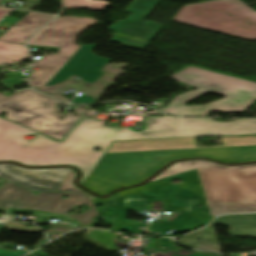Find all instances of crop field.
Segmentation results:
<instances>
[{"instance_id":"crop-field-12","label":"crop field","mask_w":256,"mask_h":256,"mask_svg":"<svg viewBox=\"0 0 256 256\" xmlns=\"http://www.w3.org/2000/svg\"><path fill=\"white\" fill-rule=\"evenodd\" d=\"M70 171L68 168L31 170L4 164L0 165V178L35 191H56Z\"/></svg>"},{"instance_id":"crop-field-9","label":"crop field","mask_w":256,"mask_h":256,"mask_svg":"<svg viewBox=\"0 0 256 256\" xmlns=\"http://www.w3.org/2000/svg\"><path fill=\"white\" fill-rule=\"evenodd\" d=\"M36 133L0 118V161L12 160L24 165H43L61 142H53L43 135H37L31 141L23 138Z\"/></svg>"},{"instance_id":"crop-field-27","label":"crop field","mask_w":256,"mask_h":256,"mask_svg":"<svg viewBox=\"0 0 256 256\" xmlns=\"http://www.w3.org/2000/svg\"><path fill=\"white\" fill-rule=\"evenodd\" d=\"M32 49H52V50H56L58 51L60 48H48V47H35V46H31Z\"/></svg>"},{"instance_id":"crop-field-28","label":"crop field","mask_w":256,"mask_h":256,"mask_svg":"<svg viewBox=\"0 0 256 256\" xmlns=\"http://www.w3.org/2000/svg\"><path fill=\"white\" fill-rule=\"evenodd\" d=\"M53 97H55V98H57V99H60V100H62V101H64V102H69L70 100H68V99H66V98H64V97H62V96H60V95H52Z\"/></svg>"},{"instance_id":"crop-field-26","label":"crop field","mask_w":256,"mask_h":256,"mask_svg":"<svg viewBox=\"0 0 256 256\" xmlns=\"http://www.w3.org/2000/svg\"><path fill=\"white\" fill-rule=\"evenodd\" d=\"M10 11L9 9L0 8V19Z\"/></svg>"},{"instance_id":"crop-field-25","label":"crop field","mask_w":256,"mask_h":256,"mask_svg":"<svg viewBox=\"0 0 256 256\" xmlns=\"http://www.w3.org/2000/svg\"><path fill=\"white\" fill-rule=\"evenodd\" d=\"M24 253H27V251L9 252V251L0 249V256H20Z\"/></svg>"},{"instance_id":"crop-field-24","label":"crop field","mask_w":256,"mask_h":256,"mask_svg":"<svg viewBox=\"0 0 256 256\" xmlns=\"http://www.w3.org/2000/svg\"><path fill=\"white\" fill-rule=\"evenodd\" d=\"M95 99L91 96H81V97H75L71 103H95Z\"/></svg>"},{"instance_id":"crop-field-1","label":"crop field","mask_w":256,"mask_h":256,"mask_svg":"<svg viewBox=\"0 0 256 256\" xmlns=\"http://www.w3.org/2000/svg\"><path fill=\"white\" fill-rule=\"evenodd\" d=\"M221 138L223 146L215 147H196V138L113 142L83 186L104 195L143 181L175 159L210 157L226 163L256 160V136Z\"/></svg>"},{"instance_id":"crop-field-23","label":"crop field","mask_w":256,"mask_h":256,"mask_svg":"<svg viewBox=\"0 0 256 256\" xmlns=\"http://www.w3.org/2000/svg\"><path fill=\"white\" fill-rule=\"evenodd\" d=\"M5 228L18 231L40 232L38 228L24 227L21 223H9Z\"/></svg>"},{"instance_id":"crop-field-3","label":"crop field","mask_w":256,"mask_h":256,"mask_svg":"<svg viewBox=\"0 0 256 256\" xmlns=\"http://www.w3.org/2000/svg\"><path fill=\"white\" fill-rule=\"evenodd\" d=\"M170 78L197 87L198 90L177 95L165 108L160 109L168 113L183 116H207L210 110L242 113L256 101V83L253 82L195 67H189ZM210 91L226 97L205 106L184 105Z\"/></svg>"},{"instance_id":"crop-field-6","label":"crop field","mask_w":256,"mask_h":256,"mask_svg":"<svg viewBox=\"0 0 256 256\" xmlns=\"http://www.w3.org/2000/svg\"><path fill=\"white\" fill-rule=\"evenodd\" d=\"M75 175L76 173L74 172V170H72L57 191L68 192L69 190H72L71 192L84 194L91 199L93 196L76 188L72 184ZM176 179L181 180V183L172 184L171 181ZM150 184L183 185L182 187H180L169 206L183 207L186 199L204 200L205 198L196 170L174 177L158 180ZM141 198L142 196L127 195L122 207L145 210L149 203V200H141ZM113 200L114 199L102 200V204L110 205L113 203ZM197 203L198 201H188L185 209H192V206L197 205ZM163 205L164 203H156L155 210H162ZM212 218L213 216L198 212H195L193 216L178 213L174 214L169 221H164L161 226L178 229L181 230L180 232H187L209 223Z\"/></svg>"},{"instance_id":"crop-field-13","label":"crop field","mask_w":256,"mask_h":256,"mask_svg":"<svg viewBox=\"0 0 256 256\" xmlns=\"http://www.w3.org/2000/svg\"><path fill=\"white\" fill-rule=\"evenodd\" d=\"M96 46L82 45L45 86H53L55 83H60L70 75L79 76L83 81L94 82L103 74L99 69L109 61L91 53V50Z\"/></svg>"},{"instance_id":"crop-field-5","label":"crop field","mask_w":256,"mask_h":256,"mask_svg":"<svg viewBox=\"0 0 256 256\" xmlns=\"http://www.w3.org/2000/svg\"><path fill=\"white\" fill-rule=\"evenodd\" d=\"M173 21L256 40V12L240 0H215L186 5Z\"/></svg>"},{"instance_id":"crop-field-10","label":"crop field","mask_w":256,"mask_h":256,"mask_svg":"<svg viewBox=\"0 0 256 256\" xmlns=\"http://www.w3.org/2000/svg\"><path fill=\"white\" fill-rule=\"evenodd\" d=\"M160 1L134 0L126 9L132 15L123 21H117L109 30L115 32L112 42L122 43V46L144 49L149 42L164 27L145 19ZM146 21L145 24L141 23Z\"/></svg>"},{"instance_id":"crop-field-7","label":"crop field","mask_w":256,"mask_h":256,"mask_svg":"<svg viewBox=\"0 0 256 256\" xmlns=\"http://www.w3.org/2000/svg\"><path fill=\"white\" fill-rule=\"evenodd\" d=\"M106 121L84 117L44 165H74L83 171L82 184L120 128L104 127ZM95 148L101 150L96 152Z\"/></svg>"},{"instance_id":"crop-field-11","label":"crop field","mask_w":256,"mask_h":256,"mask_svg":"<svg viewBox=\"0 0 256 256\" xmlns=\"http://www.w3.org/2000/svg\"><path fill=\"white\" fill-rule=\"evenodd\" d=\"M95 22L92 18H57L41 29L28 45L62 47L60 54L71 57L80 47L74 43L77 35Z\"/></svg>"},{"instance_id":"crop-field-30","label":"crop field","mask_w":256,"mask_h":256,"mask_svg":"<svg viewBox=\"0 0 256 256\" xmlns=\"http://www.w3.org/2000/svg\"><path fill=\"white\" fill-rule=\"evenodd\" d=\"M93 114H94V112H89V113L86 114V115H91V116H93Z\"/></svg>"},{"instance_id":"crop-field-19","label":"crop field","mask_w":256,"mask_h":256,"mask_svg":"<svg viewBox=\"0 0 256 256\" xmlns=\"http://www.w3.org/2000/svg\"><path fill=\"white\" fill-rule=\"evenodd\" d=\"M28 58V50L24 45L9 44L0 41V63L19 64Z\"/></svg>"},{"instance_id":"crop-field-15","label":"crop field","mask_w":256,"mask_h":256,"mask_svg":"<svg viewBox=\"0 0 256 256\" xmlns=\"http://www.w3.org/2000/svg\"><path fill=\"white\" fill-rule=\"evenodd\" d=\"M186 118L147 117L146 129L134 132L121 128L113 140L152 139L182 137Z\"/></svg>"},{"instance_id":"crop-field-31","label":"crop field","mask_w":256,"mask_h":256,"mask_svg":"<svg viewBox=\"0 0 256 256\" xmlns=\"http://www.w3.org/2000/svg\"><path fill=\"white\" fill-rule=\"evenodd\" d=\"M117 236H115L114 238H116Z\"/></svg>"},{"instance_id":"crop-field-4","label":"crop field","mask_w":256,"mask_h":256,"mask_svg":"<svg viewBox=\"0 0 256 256\" xmlns=\"http://www.w3.org/2000/svg\"><path fill=\"white\" fill-rule=\"evenodd\" d=\"M58 104L61 102L32 89L18 91L9 97L0 94V113L7 112L6 119L61 140L88 110L76 107L74 113L80 114L79 117L65 113L66 117L59 121L65 115L57 117L61 112L56 107Z\"/></svg>"},{"instance_id":"crop-field-16","label":"crop field","mask_w":256,"mask_h":256,"mask_svg":"<svg viewBox=\"0 0 256 256\" xmlns=\"http://www.w3.org/2000/svg\"><path fill=\"white\" fill-rule=\"evenodd\" d=\"M53 17L30 12L17 24L6 31L0 40L10 43L24 44L32 34L45 23L49 22Z\"/></svg>"},{"instance_id":"crop-field-21","label":"crop field","mask_w":256,"mask_h":256,"mask_svg":"<svg viewBox=\"0 0 256 256\" xmlns=\"http://www.w3.org/2000/svg\"><path fill=\"white\" fill-rule=\"evenodd\" d=\"M88 237H90L104 245H107L108 249H116L109 232L100 231V230H92V232L90 233V235Z\"/></svg>"},{"instance_id":"crop-field-22","label":"crop field","mask_w":256,"mask_h":256,"mask_svg":"<svg viewBox=\"0 0 256 256\" xmlns=\"http://www.w3.org/2000/svg\"><path fill=\"white\" fill-rule=\"evenodd\" d=\"M8 78L1 81L3 85L7 86L9 89L12 88L14 85H18L20 83L26 82L22 81V78H25L26 76H23L19 73H12V74H7Z\"/></svg>"},{"instance_id":"crop-field-17","label":"crop field","mask_w":256,"mask_h":256,"mask_svg":"<svg viewBox=\"0 0 256 256\" xmlns=\"http://www.w3.org/2000/svg\"><path fill=\"white\" fill-rule=\"evenodd\" d=\"M224 224L232 227L231 236H245L256 238V214L229 215L219 217L211 225Z\"/></svg>"},{"instance_id":"crop-field-29","label":"crop field","mask_w":256,"mask_h":256,"mask_svg":"<svg viewBox=\"0 0 256 256\" xmlns=\"http://www.w3.org/2000/svg\"><path fill=\"white\" fill-rule=\"evenodd\" d=\"M157 114H160V113L156 111H152V112H147L144 115H157Z\"/></svg>"},{"instance_id":"crop-field-32","label":"crop field","mask_w":256,"mask_h":256,"mask_svg":"<svg viewBox=\"0 0 256 256\" xmlns=\"http://www.w3.org/2000/svg\"><path fill=\"white\" fill-rule=\"evenodd\" d=\"M1 1V0H0Z\"/></svg>"},{"instance_id":"crop-field-8","label":"crop field","mask_w":256,"mask_h":256,"mask_svg":"<svg viewBox=\"0 0 256 256\" xmlns=\"http://www.w3.org/2000/svg\"><path fill=\"white\" fill-rule=\"evenodd\" d=\"M32 192V190L6 181L0 189V208L36 209L50 213L64 214L84 225L93 223L92 218L99 215L93 201L84 195L60 192H39L38 195H34ZM63 195L68 197V199H62L61 197ZM79 199L82 201H79ZM83 203H86L91 208L82 214L71 216L66 214L74 205Z\"/></svg>"},{"instance_id":"crop-field-2","label":"crop field","mask_w":256,"mask_h":256,"mask_svg":"<svg viewBox=\"0 0 256 256\" xmlns=\"http://www.w3.org/2000/svg\"><path fill=\"white\" fill-rule=\"evenodd\" d=\"M194 169L198 171L211 215L256 212V164L226 167L207 161H185L172 165L153 181Z\"/></svg>"},{"instance_id":"crop-field-20","label":"crop field","mask_w":256,"mask_h":256,"mask_svg":"<svg viewBox=\"0 0 256 256\" xmlns=\"http://www.w3.org/2000/svg\"><path fill=\"white\" fill-rule=\"evenodd\" d=\"M109 3L105 1H94V0H64V8L77 9L87 8L89 10H102Z\"/></svg>"},{"instance_id":"crop-field-14","label":"crop field","mask_w":256,"mask_h":256,"mask_svg":"<svg viewBox=\"0 0 256 256\" xmlns=\"http://www.w3.org/2000/svg\"><path fill=\"white\" fill-rule=\"evenodd\" d=\"M256 134V119H238L231 123L212 118H187L183 137Z\"/></svg>"},{"instance_id":"crop-field-18","label":"crop field","mask_w":256,"mask_h":256,"mask_svg":"<svg viewBox=\"0 0 256 256\" xmlns=\"http://www.w3.org/2000/svg\"><path fill=\"white\" fill-rule=\"evenodd\" d=\"M69 57L59 54L42 58L33 68H39L33 72L30 81L32 87L44 86L52 76L69 60ZM53 67V69H50Z\"/></svg>"}]
</instances>
